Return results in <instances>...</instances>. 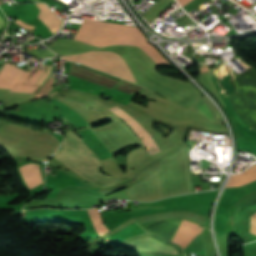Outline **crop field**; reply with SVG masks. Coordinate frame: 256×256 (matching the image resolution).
Wrapping results in <instances>:
<instances>
[{"instance_id": "crop-field-1", "label": "crop field", "mask_w": 256, "mask_h": 256, "mask_svg": "<svg viewBox=\"0 0 256 256\" xmlns=\"http://www.w3.org/2000/svg\"><path fill=\"white\" fill-rule=\"evenodd\" d=\"M55 158L82 177L99 185L108 186L119 182L113 177L100 173L102 165L98 157L75 133L69 130Z\"/></svg>"}, {"instance_id": "crop-field-2", "label": "crop field", "mask_w": 256, "mask_h": 256, "mask_svg": "<svg viewBox=\"0 0 256 256\" xmlns=\"http://www.w3.org/2000/svg\"><path fill=\"white\" fill-rule=\"evenodd\" d=\"M75 61L136 82L125 60L114 52L91 51L81 55L65 56Z\"/></svg>"}, {"instance_id": "crop-field-3", "label": "crop field", "mask_w": 256, "mask_h": 256, "mask_svg": "<svg viewBox=\"0 0 256 256\" xmlns=\"http://www.w3.org/2000/svg\"><path fill=\"white\" fill-rule=\"evenodd\" d=\"M69 74L111 89L115 88L132 95L140 92L143 89V87L126 81L118 80L116 78L73 63L71 65Z\"/></svg>"}, {"instance_id": "crop-field-4", "label": "crop field", "mask_w": 256, "mask_h": 256, "mask_svg": "<svg viewBox=\"0 0 256 256\" xmlns=\"http://www.w3.org/2000/svg\"><path fill=\"white\" fill-rule=\"evenodd\" d=\"M112 111L118 114L139 135L146 150L149 152L151 156L161 151H159L155 142L135 119H133L131 116H129L127 113H125L118 107L112 109Z\"/></svg>"}, {"instance_id": "crop-field-5", "label": "crop field", "mask_w": 256, "mask_h": 256, "mask_svg": "<svg viewBox=\"0 0 256 256\" xmlns=\"http://www.w3.org/2000/svg\"><path fill=\"white\" fill-rule=\"evenodd\" d=\"M138 250L176 253V250L149 237L132 239L125 243Z\"/></svg>"}, {"instance_id": "crop-field-6", "label": "crop field", "mask_w": 256, "mask_h": 256, "mask_svg": "<svg viewBox=\"0 0 256 256\" xmlns=\"http://www.w3.org/2000/svg\"><path fill=\"white\" fill-rule=\"evenodd\" d=\"M191 110L203 114L207 119L217 123H224L215 105L206 96L201 97L191 108Z\"/></svg>"}, {"instance_id": "crop-field-7", "label": "crop field", "mask_w": 256, "mask_h": 256, "mask_svg": "<svg viewBox=\"0 0 256 256\" xmlns=\"http://www.w3.org/2000/svg\"><path fill=\"white\" fill-rule=\"evenodd\" d=\"M80 134L85 140L87 146L99 156L100 160L111 158L113 156L90 129L80 131Z\"/></svg>"}, {"instance_id": "crop-field-8", "label": "crop field", "mask_w": 256, "mask_h": 256, "mask_svg": "<svg viewBox=\"0 0 256 256\" xmlns=\"http://www.w3.org/2000/svg\"><path fill=\"white\" fill-rule=\"evenodd\" d=\"M202 230V227L182 221L176 234L174 235L172 242L178 243L182 248Z\"/></svg>"}, {"instance_id": "crop-field-9", "label": "crop field", "mask_w": 256, "mask_h": 256, "mask_svg": "<svg viewBox=\"0 0 256 256\" xmlns=\"http://www.w3.org/2000/svg\"><path fill=\"white\" fill-rule=\"evenodd\" d=\"M41 12L39 19L54 34L59 29L63 21L45 4L35 3Z\"/></svg>"}, {"instance_id": "crop-field-10", "label": "crop field", "mask_w": 256, "mask_h": 256, "mask_svg": "<svg viewBox=\"0 0 256 256\" xmlns=\"http://www.w3.org/2000/svg\"><path fill=\"white\" fill-rule=\"evenodd\" d=\"M52 67L53 66H41L37 70L35 69L32 72L29 79L27 80L26 85L42 86V84L50 75ZM29 74L30 72L24 71L16 83L23 84V82L25 81V79L28 77ZM32 82L34 84H31Z\"/></svg>"}, {"instance_id": "crop-field-11", "label": "crop field", "mask_w": 256, "mask_h": 256, "mask_svg": "<svg viewBox=\"0 0 256 256\" xmlns=\"http://www.w3.org/2000/svg\"><path fill=\"white\" fill-rule=\"evenodd\" d=\"M23 178L25 179L29 189L43 183L40 168L35 164H28L19 168Z\"/></svg>"}, {"instance_id": "crop-field-12", "label": "crop field", "mask_w": 256, "mask_h": 256, "mask_svg": "<svg viewBox=\"0 0 256 256\" xmlns=\"http://www.w3.org/2000/svg\"><path fill=\"white\" fill-rule=\"evenodd\" d=\"M58 107L60 113L63 115V117L69 121L73 126L76 128L80 127H87L89 124L86 122V120L81 117L77 112H75L72 108L66 106L65 104L57 101L52 100Z\"/></svg>"}, {"instance_id": "crop-field-13", "label": "crop field", "mask_w": 256, "mask_h": 256, "mask_svg": "<svg viewBox=\"0 0 256 256\" xmlns=\"http://www.w3.org/2000/svg\"><path fill=\"white\" fill-rule=\"evenodd\" d=\"M15 67V66H14ZM12 67L5 63L2 70L0 71V88L12 89L14 83L21 75L22 71Z\"/></svg>"}, {"instance_id": "crop-field-14", "label": "crop field", "mask_w": 256, "mask_h": 256, "mask_svg": "<svg viewBox=\"0 0 256 256\" xmlns=\"http://www.w3.org/2000/svg\"><path fill=\"white\" fill-rule=\"evenodd\" d=\"M88 213L95 225V228L99 235H103L107 231H109L103 224L100 213L97 208L88 210Z\"/></svg>"}, {"instance_id": "crop-field-15", "label": "crop field", "mask_w": 256, "mask_h": 256, "mask_svg": "<svg viewBox=\"0 0 256 256\" xmlns=\"http://www.w3.org/2000/svg\"><path fill=\"white\" fill-rule=\"evenodd\" d=\"M250 231L253 233H256V213H254L253 215H251V227H250Z\"/></svg>"}, {"instance_id": "crop-field-16", "label": "crop field", "mask_w": 256, "mask_h": 256, "mask_svg": "<svg viewBox=\"0 0 256 256\" xmlns=\"http://www.w3.org/2000/svg\"><path fill=\"white\" fill-rule=\"evenodd\" d=\"M15 22L18 23V24H20V25H22V26H24V27H26V28L33 29V26H30V25H28V24H25V23H23V22H21V21H19V20L15 21Z\"/></svg>"}, {"instance_id": "crop-field-17", "label": "crop field", "mask_w": 256, "mask_h": 256, "mask_svg": "<svg viewBox=\"0 0 256 256\" xmlns=\"http://www.w3.org/2000/svg\"><path fill=\"white\" fill-rule=\"evenodd\" d=\"M178 1L180 2L181 6H182V5H184L186 2H188L189 0H178Z\"/></svg>"}, {"instance_id": "crop-field-18", "label": "crop field", "mask_w": 256, "mask_h": 256, "mask_svg": "<svg viewBox=\"0 0 256 256\" xmlns=\"http://www.w3.org/2000/svg\"><path fill=\"white\" fill-rule=\"evenodd\" d=\"M5 24V22L3 21V19L0 17V27H3Z\"/></svg>"}]
</instances>
